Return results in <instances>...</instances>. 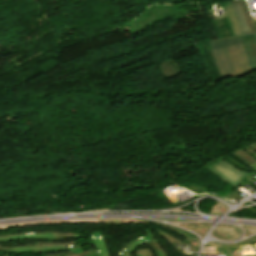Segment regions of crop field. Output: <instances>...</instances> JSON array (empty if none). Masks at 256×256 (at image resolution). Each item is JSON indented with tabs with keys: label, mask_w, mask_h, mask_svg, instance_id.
Masks as SVG:
<instances>
[{
	"label": "crop field",
	"mask_w": 256,
	"mask_h": 256,
	"mask_svg": "<svg viewBox=\"0 0 256 256\" xmlns=\"http://www.w3.org/2000/svg\"><path fill=\"white\" fill-rule=\"evenodd\" d=\"M205 168L208 169L210 172L214 173L215 175L219 176L220 178L224 179L228 183L232 184L235 187L238 186L237 183H239V181L244 176L247 175L246 172H244V171L240 172V171L236 170L232 165H230L229 163H227L226 161H224L222 159L205 167Z\"/></svg>",
	"instance_id": "2"
},
{
	"label": "crop field",
	"mask_w": 256,
	"mask_h": 256,
	"mask_svg": "<svg viewBox=\"0 0 256 256\" xmlns=\"http://www.w3.org/2000/svg\"><path fill=\"white\" fill-rule=\"evenodd\" d=\"M222 78L239 77L251 71L240 37L210 41Z\"/></svg>",
	"instance_id": "1"
},
{
	"label": "crop field",
	"mask_w": 256,
	"mask_h": 256,
	"mask_svg": "<svg viewBox=\"0 0 256 256\" xmlns=\"http://www.w3.org/2000/svg\"><path fill=\"white\" fill-rule=\"evenodd\" d=\"M242 42L247 61L252 70L256 69V39L255 35L243 36Z\"/></svg>",
	"instance_id": "3"
},
{
	"label": "crop field",
	"mask_w": 256,
	"mask_h": 256,
	"mask_svg": "<svg viewBox=\"0 0 256 256\" xmlns=\"http://www.w3.org/2000/svg\"><path fill=\"white\" fill-rule=\"evenodd\" d=\"M232 2H233V5H234L235 12H236V14H237V16H238V18H239L240 25H241V27H242V30H243L244 34H245V35L251 34L250 31H249V29H248L247 22H246V20H245V17H244V15H243V12H242V10H241V8H240V5H239L238 0H234V1H232Z\"/></svg>",
	"instance_id": "5"
},
{
	"label": "crop field",
	"mask_w": 256,
	"mask_h": 256,
	"mask_svg": "<svg viewBox=\"0 0 256 256\" xmlns=\"http://www.w3.org/2000/svg\"><path fill=\"white\" fill-rule=\"evenodd\" d=\"M222 4H223V8H224V10L226 12L229 24L231 26L233 35L234 36H242V35H244L242 30H241V28H240L238 19H237L236 15H235V12H234V9H233V5H232L231 1L222 2Z\"/></svg>",
	"instance_id": "4"
},
{
	"label": "crop field",
	"mask_w": 256,
	"mask_h": 256,
	"mask_svg": "<svg viewBox=\"0 0 256 256\" xmlns=\"http://www.w3.org/2000/svg\"><path fill=\"white\" fill-rule=\"evenodd\" d=\"M256 35V34H255Z\"/></svg>",
	"instance_id": "6"
}]
</instances>
